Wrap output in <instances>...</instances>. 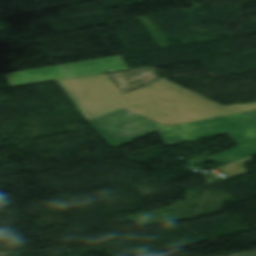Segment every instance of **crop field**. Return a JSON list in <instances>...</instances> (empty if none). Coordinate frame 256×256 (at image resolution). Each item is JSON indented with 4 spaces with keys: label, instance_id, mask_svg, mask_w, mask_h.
I'll return each instance as SVG.
<instances>
[{
    "label": "crop field",
    "instance_id": "1",
    "mask_svg": "<svg viewBox=\"0 0 256 256\" xmlns=\"http://www.w3.org/2000/svg\"><path fill=\"white\" fill-rule=\"evenodd\" d=\"M58 82L88 120L123 107L170 126L256 108V102L223 107L167 79L151 84L166 92L121 105V93L107 74Z\"/></svg>",
    "mask_w": 256,
    "mask_h": 256
},
{
    "label": "crop field",
    "instance_id": "2",
    "mask_svg": "<svg viewBox=\"0 0 256 256\" xmlns=\"http://www.w3.org/2000/svg\"><path fill=\"white\" fill-rule=\"evenodd\" d=\"M89 122L113 146H119L156 130L167 145L228 133L239 146L210 158L228 165L256 154V110L167 127L120 108Z\"/></svg>",
    "mask_w": 256,
    "mask_h": 256
},
{
    "label": "crop field",
    "instance_id": "3",
    "mask_svg": "<svg viewBox=\"0 0 256 256\" xmlns=\"http://www.w3.org/2000/svg\"><path fill=\"white\" fill-rule=\"evenodd\" d=\"M128 69H130V67L127 65L122 56H115L106 59L65 64L8 74L5 75V77L10 82L12 87H16L52 80L103 74L108 73V70H113V72H116Z\"/></svg>",
    "mask_w": 256,
    "mask_h": 256
},
{
    "label": "crop field",
    "instance_id": "4",
    "mask_svg": "<svg viewBox=\"0 0 256 256\" xmlns=\"http://www.w3.org/2000/svg\"><path fill=\"white\" fill-rule=\"evenodd\" d=\"M108 75L119 88L121 93L157 80L152 67L133 71L110 73Z\"/></svg>",
    "mask_w": 256,
    "mask_h": 256
},
{
    "label": "crop field",
    "instance_id": "5",
    "mask_svg": "<svg viewBox=\"0 0 256 256\" xmlns=\"http://www.w3.org/2000/svg\"><path fill=\"white\" fill-rule=\"evenodd\" d=\"M160 92H164V91L149 85L141 90L120 95V96H118V98H119V102L121 104V103H125V102L131 101V100L146 97V96L153 95V94L160 93Z\"/></svg>",
    "mask_w": 256,
    "mask_h": 256
},
{
    "label": "crop field",
    "instance_id": "6",
    "mask_svg": "<svg viewBox=\"0 0 256 256\" xmlns=\"http://www.w3.org/2000/svg\"><path fill=\"white\" fill-rule=\"evenodd\" d=\"M235 256H256V251H252V252H248V253H244V254H239V255H235Z\"/></svg>",
    "mask_w": 256,
    "mask_h": 256
}]
</instances>
